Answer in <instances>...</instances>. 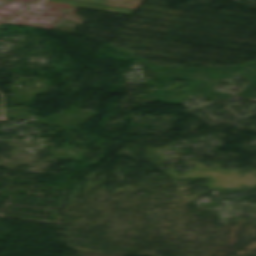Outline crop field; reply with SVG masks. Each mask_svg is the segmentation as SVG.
Here are the masks:
<instances>
[{
    "mask_svg": "<svg viewBox=\"0 0 256 256\" xmlns=\"http://www.w3.org/2000/svg\"><path fill=\"white\" fill-rule=\"evenodd\" d=\"M42 0H1L0 21L9 22Z\"/></svg>",
    "mask_w": 256,
    "mask_h": 256,
    "instance_id": "obj_1",
    "label": "crop field"
}]
</instances>
